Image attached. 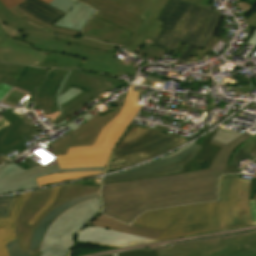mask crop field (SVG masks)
<instances>
[{"instance_id":"1","label":"crop field","mask_w":256,"mask_h":256,"mask_svg":"<svg viewBox=\"0 0 256 256\" xmlns=\"http://www.w3.org/2000/svg\"><path fill=\"white\" fill-rule=\"evenodd\" d=\"M248 137L243 134L227 145L211 141L223 148L207 170L102 185V213L130 224L150 209L217 200V178L235 149Z\"/></svg>"},{"instance_id":"2","label":"crop field","mask_w":256,"mask_h":256,"mask_svg":"<svg viewBox=\"0 0 256 256\" xmlns=\"http://www.w3.org/2000/svg\"><path fill=\"white\" fill-rule=\"evenodd\" d=\"M249 186L248 180H221L217 202L147 211L131 225L162 232L158 241L251 225Z\"/></svg>"},{"instance_id":"3","label":"crop field","mask_w":256,"mask_h":256,"mask_svg":"<svg viewBox=\"0 0 256 256\" xmlns=\"http://www.w3.org/2000/svg\"><path fill=\"white\" fill-rule=\"evenodd\" d=\"M0 19L8 26L21 31L14 38L31 43L34 49L49 52L40 67L82 68L113 77L120 71L136 75L135 68L131 67L135 62L129 60L123 64L113 59L116 46L84 37L57 36V33L34 24L25 17H14L1 1ZM55 35L57 37L53 39Z\"/></svg>"},{"instance_id":"4","label":"crop field","mask_w":256,"mask_h":256,"mask_svg":"<svg viewBox=\"0 0 256 256\" xmlns=\"http://www.w3.org/2000/svg\"><path fill=\"white\" fill-rule=\"evenodd\" d=\"M133 87L130 86L118 116L103 127L93 146L69 148L66 155L56 157L61 169L105 167L118 139L141 108L135 105L138 92L132 91Z\"/></svg>"},{"instance_id":"5","label":"crop field","mask_w":256,"mask_h":256,"mask_svg":"<svg viewBox=\"0 0 256 256\" xmlns=\"http://www.w3.org/2000/svg\"><path fill=\"white\" fill-rule=\"evenodd\" d=\"M186 141L188 140L174 134L168 136L158 131L132 126L115 149L107 172L156 157Z\"/></svg>"},{"instance_id":"6","label":"crop field","mask_w":256,"mask_h":256,"mask_svg":"<svg viewBox=\"0 0 256 256\" xmlns=\"http://www.w3.org/2000/svg\"><path fill=\"white\" fill-rule=\"evenodd\" d=\"M101 210L100 198L84 202L61 215L48 230L41 256H67L74 234Z\"/></svg>"},{"instance_id":"7","label":"crop field","mask_w":256,"mask_h":256,"mask_svg":"<svg viewBox=\"0 0 256 256\" xmlns=\"http://www.w3.org/2000/svg\"><path fill=\"white\" fill-rule=\"evenodd\" d=\"M70 71L27 67L15 86L30 91L29 99H34L35 109L42 108L46 116L62 113L58 95Z\"/></svg>"},{"instance_id":"8","label":"crop field","mask_w":256,"mask_h":256,"mask_svg":"<svg viewBox=\"0 0 256 256\" xmlns=\"http://www.w3.org/2000/svg\"><path fill=\"white\" fill-rule=\"evenodd\" d=\"M157 253L159 256H256V232L179 244Z\"/></svg>"},{"instance_id":"9","label":"crop field","mask_w":256,"mask_h":256,"mask_svg":"<svg viewBox=\"0 0 256 256\" xmlns=\"http://www.w3.org/2000/svg\"><path fill=\"white\" fill-rule=\"evenodd\" d=\"M221 16V14L193 5L184 16L168 49L174 50L178 41L190 44L180 58L186 61L194 46L205 49Z\"/></svg>"},{"instance_id":"10","label":"crop field","mask_w":256,"mask_h":256,"mask_svg":"<svg viewBox=\"0 0 256 256\" xmlns=\"http://www.w3.org/2000/svg\"><path fill=\"white\" fill-rule=\"evenodd\" d=\"M131 6L129 12L143 17V23L132 34L125 48L137 53L147 42L154 43L161 32L158 17L169 0H111ZM196 3L197 0H187Z\"/></svg>"},{"instance_id":"11","label":"crop field","mask_w":256,"mask_h":256,"mask_svg":"<svg viewBox=\"0 0 256 256\" xmlns=\"http://www.w3.org/2000/svg\"><path fill=\"white\" fill-rule=\"evenodd\" d=\"M109 81L112 83L107 84ZM124 83L95 74L86 73L80 70H72L60 95L67 91L72 86L84 90L72 100L68 101L62 107L63 113L59 115L53 122L58 126L65 118L75 109L85 104L91 98L102 94L103 92L123 86Z\"/></svg>"},{"instance_id":"12","label":"crop field","mask_w":256,"mask_h":256,"mask_svg":"<svg viewBox=\"0 0 256 256\" xmlns=\"http://www.w3.org/2000/svg\"><path fill=\"white\" fill-rule=\"evenodd\" d=\"M200 149L201 146L193 144L174 157L155 161L122 173L104 177L102 184L181 173L182 166L193 159Z\"/></svg>"},{"instance_id":"13","label":"crop field","mask_w":256,"mask_h":256,"mask_svg":"<svg viewBox=\"0 0 256 256\" xmlns=\"http://www.w3.org/2000/svg\"><path fill=\"white\" fill-rule=\"evenodd\" d=\"M104 169L105 168H75L60 170L58 164H56L45 168L37 165L31 169L25 170L15 163H7L0 168V195L38 187L35 178L42 175L69 171Z\"/></svg>"},{"instance_id":"14","label":"crop field","mask_w":256,"mask_h":256,"mask_svg":"<svg viewBox=\"0 0 256 256\" xmlns=\"http://www.w3.org/2000/svg\"><path fill=\"white\" fill-rule=\"evenodd\" d=\"M18 33L0 20V61L39 67L47 52L33 50L30 44L12 39Z\"/></svg>"},{"instance_id":"15","label":"crop field","mask_w":256,"mask_h":256,"mask_svg":"<svg viewBox=\"0 0 256 256\" xmlns=\"http://www.w3.org/2000/svg\"><path fill=\"white\" fill-rule=\"evenodd\" d=\"M120 109L121 107H117L114 111L104 116L99 114L95 115L84 125L72 132V136L67 135L52 144L55 155L65 154L68 147L92 145L101 128L116 117Z\"/></svg>"},{"instance_id":"16","label":"crop field","mask_w":256,"mask_h":256,"mask_svg":"<svg viewBox=\"0 0 256 256\" xmlns=\"http://www.w3.org/2000/svg\"><path fill=\"white\" fill-rule=\"evenodd\" d=\"M6 74H0V80ZM25 111L12 110L0 116V153L5 155L27 143L23 138L33 134L26 123L18 116ZM1 157V156H0Z\"/></svg>"},{"instance_id":"17","label":"crop field","mask_w":256,"mask_h":256,"mask_svg":"<svg viewBox=\"0 0 256 256\" xmlns=\"http://www.w3.org/2000/svg\"><path fill=\"white\" fill-rule=\"evenodd\" d=\"M95 197H100L99 191L95 192V193L85 195V196L80 197V198L76 197V198L62 204L61 206L57 207L52 212L48 213L42 219V221L40 222V224L38 225L37 229L35 230V232L32 236L29 252L30 251H40L42 240H43L49 226L62 213H64L66 210L76 206L79 203H82V202H84L88 199L95 198ZM14 231H15L16 241H9V243L6 244L9 256H29V252L20 253L19 245H18V241H17V236H16V230H14Z\"/></svg>"},{"instance_id":"18","label":"crop field","mask_w":256,"mask_h":256,"mask_svg":"<svg viewBox=\"0 0 256 256\" xmlns=\"http://www.w3.org/2000/svg\"><path fill=\"white\" fill-rule=\"evenodd\" d=\"M75 241L80 243L105 244L116 247L155 242L154 240L89 225L84 227L77 234Z\"/></svg>"},{"instance_id":"19","label":"crop field","mask_w":256,"mask_h":256,"mask_svg":"<svg viewBox=\"0 0 256 256\" xmlns=\"http://www.w3.org/2000/svg\"><path fill=\"white\" fill-rule=\"evenodd\" d=\"M97 9L95 16L118 25L130 32H134L142 23V18L131 14L129 6L114 3L108 0H79Z\"/></svg>"},{"instance_id":"20","label":"crop field","mask_w":256,"mask_h":256,"mask_svg":"<svg viewBox=\"0 0 256 256\" xmlns=\"http://www.w3.org/2000/svg\"><path fill=\"white\" fill-rule=\"evenodd\" d=\"M191 6L192 4L183 0L169 1L158 19L163 22L161 25L163 30L154 45L167 49L182 17Z\"/></svg>"},{"instance_id":"21","label":"crop field","mask_w":256,"mask_h":256,"mask_svg":"<svg viewBox=\"0 0 256 256\" xmlns=\"http://www.w3.org/2000/svg\"><path fill=\"white\" fill-rule=\"evenodd\" d=\"M51 6L67 13L54 25L81 31L86 22L95 12L87 5L75 0H54Z\"/></svg>"},{"instance_id":"22","label":"crop field","mask_w":256,"mask_h":256,"mask_svg":"<svg viewBox=\"0 0 256 256\" xmlns=\"http://www.w3.org/2000/svg\"><path fill=\"white\" fill-rule=\"evenodd\" d=\"M82 35L111 44L121 45L122 43L126 44L131 33L97 17H93L83 30Z\"/></svg>"},{"instance_id":"23","label":"crop field","mask_w":256,"mask_h":256,"mask_svg":"<svg viewBox=\"0 0 256 256\" xmlns=\"http://www.w3.org/2000/svg\"><path fill=\"white\" fill-rule=\"evenodd\" d=\"M82 185H64L60 187L58 196L52 206L43 213L33 225L23 223V232L17 233L21 252L28 251L31 236L41 219L60 204L76 197Z\"/></svg>"},{"instance_id":"24","label":"crop field","mask_w":256,"mask_h":256,"mask_svg":"<svg viewBox=\"0 0 256 256\" xmlns=\"http://www.w3.org/2000/svg\"><path fill=\"white\" fill-rule=\"evenodd\" d=\"M52 189L53 188L32 192L18 214L16 222L17 232L22 231V222L29 223V221L40 211L46 203Z\"/></svg>"},{"instance_id":"25","label":"crop field","mask_w":256,"mask_h":256,"mask_svg":"<svg viewBox=\"0 0 256 256\" xmlns=\"http://www.w3.org/2000/svg\"><path fill=\"white\" fill-rule=\"evenodd\" d=\"M30 194L31 192L21 194L12 208L9 219L0 220V256H8L5 244L8 243V240H15L13 229H16L17 214Z\"/></svg>"},{"instance_id":"26","label":"crop field","mask_w":256,"mask_h":256,"mask_svg":"<svg viewBox=\"0 0 256 256\" xmlns=\"http://www.w3.org/2000/svg\"><path fill=\"white\" fill-rule=\"evenodd\" d=\"M216 131L217 129L211 131L209 134H207L204 140L199 143V145L203 146L202 149L193 160L183 167V172L195 171L194 169L200 168L204 163L208 165L211 164L218 150L221 149L219 146L209 144Z\"/></svg>"},{"instance_id":"27","label":"crop field","mask_w":256,"mask_h":256,"mask_svg":"<svg viewBox=\"0 0 256 256\" xmlns=\"http://www.w3.org/2000/svg\"><path fill=\"white\" fill-rule=\"evenodd\" d=\"M109 218L103 215H100L94 221H92L90 225L109 228V229L126 232V233H130V234H134V235H138V236H142V237H146L154 240H157L160 235L159 232H155V231H151V230H147L139 227L124 225L118 221H115Z\"/></svg>"},{"instance_id":"28","label":"crop field","mask_w":256,"mask_h":256,"mask_svg":"<svg viewBox=\"0 0 256 256\" xmlns=\"http://www.w3.org/2000/svg\"><path fill=\"white\" fill-rule=\"evenodd\" d=\"M26 2L19 5L24 11L34 15L35 17L53 25L65 13L46 5L39 0H25ZM20 7V8H21Z\"/></svg>"},{"instance_id":"29","label":"crop field","mask_w":256,"mask_h":256,"mask_svg":"<svg viewBox=\"0 0 256 256\" xmlns=\"http://www.w3.org/2000/svg\"><path fill=\"white\" fill-rule=\"evenodd\" d=\"M249 161L256 158V133L246 140L244 144L237 148L231 157V160L224 172L225 173H239L243 167L236 168L240 161L244 159ZM248 162V161H247ZM246 163V162H244Z\"/></svg>"},{"instance_id":"30","label":"crop field","mask_w":256,"mask_h":256,"mask_svg":"<svg viewBox=\"0 0 256 256\" xmlns=\"http://www.w3.org/2000/svg\"><path fill=\"white\" fill-rule=\"evenodd\" d=\"M103 172L104 171H84V172L60 173V174L39 177L36 180H37L38 186L40 187L44 185L56 184V183H61L65 181L90 177L94 175H100V174H103Z\"/></svg>"},{"instance_id":"31","label":"crop field","mask_w":256,"mask_h":256,"mask_svg":"<svg viewBox=\"0 0 256 256\" xmlns=\"http://www.w3.org/2000/svg\"><path fill=\"white\" fill-rule=\"evenodd\" d=\"M9 11L15 15V16H19V17H26L28 20L34 22V23H37V24H40V25H43V26H46L50 29H52L53 31L57 32V33H61V34H66V35H71V36H79L80 35V32L78 31H74V30H69V29H63V28H59V27H55V26H51L27 13H25L23 11L22 8H20L18 5L9 9Z\"/></svg>"},{"instance_id":"32","label":"crop field","mask_w":256,"mask_h":256,"mask_svg":"<svg viewBox=\"0 0 256 256\" xmlns=\"http://www.w3.org/2000/svg\"><path fill=\"white\" fill-rule=\"evenodd\" d=\"M240 135L241 133H236V132L226 131V130H218L213 140L227 144Z\"/></svg>"},{"instance_id":"33","label":"crop field","mask_w":256,"mask_h":256,"mask_svg":"<svg viewBox=\"0 0 256 256\" xmlns=\"http://www.w3.org/2000/svg\"><path fill=\"white\" fill-rule=\"evenodd\" d=\"M16 199L17 197L0 199V219L8 218L10 209Z\"/></svg>"},{"instance_id":"34","label":"crop field","mask_w":256,"mask_h":256,"mask_svg":"<svg viewBox=\"0 0 256 256\" xmlns=\"http://www.w3.org/2000/svg\"><path fill=\"white\" fill-rule=\"evenodd\" d=\"M140 52L148 55V56H152V57H156L158 59L162 58V55L164 54L165 50L161 49L159 47H156L152 44L147 43L141 50Z\"/></svg>"},{"instance_id":"35","label":"crop field","mask_w":256,"mask_h":256,"mask_svg":"<svg viewBox=\"0 0 256 256\" xmlns=\"http://www.w3.org/2000/svg\"><path fill=\"white\" fill-rule=\"evenodd\" d=\"M25 66L13 65L0 62V73H13L22 75Z\"/></svg>"},{"instance_id":"36","label":"crop field","mask_w":256,"mask_h":256,"mask_svg":"<svg viewBox=\"0 0 256 256\" xmlns=\"http://www.w3.org/2000/svg\"><path fill=\"white\" fill-rule=\"evenodd\" d=\"M157 250L153 251H145V250H137V251H131V252H122L119 253V256H158L159 254H156Z\"/></svg>"},{"instance_id":"37","label":"crop field","mask_w":256,"mask_h":256,"mask_svg":"<svg viewBox=\"0 0 256 256\" xmlns=\"http://www.w3.org/2000/svg\"><path fill=\"white\" fill-rule=\"evenodd\" d=\"M82 90L76 89L72 87L70 90L65 92L63 95L59 97V103L60 106L63 105L65 102L70 100L71 98L75 97L77 94H79Z\"/></svg>"},{"instance_id":"38","label":"crop field","mask_w":256,"mask_h":256,"mask_svg":"<svg viewBox=\"0 0 256 256\" xmlns=\"http://www.w3.org/2000/svg\"><path fill=\"white\" fill-rule=\"evenodd\" d=\"M60 187V186H59ZM59 187H55L52 191V194L50 196V198L48 199L47 203L45 204V206L42 208V210L31 220V224L34 223V221L43 213L45 212V210L51 206V204L53 203V201L55 200Z\"/></svg>"},{"instance_id":"39","label":"crop field","mask_w":256,"mask_h":256,"mask_svg":"<svg viewBox=\"0 0 256 256\" xmlns=\"http://www.w3.org/2000/svg\"><path fill=\"white\" fill-rule=\"evenodd\" d=\"M99 189H100L99 186L83 185L78 197L83 196V195L88 194V193H91V192H94V191H98Z\"/></svg>"},{"instance_id":"40","label":"crop field","mask_w":256,"mask_h":256,"mask_svg":"<svg viewBox=\"0 0 256 256\" xmlns=\"http://www.w3.org/2000/svg\"><path fill=\"white\" fill-rule=\"evenodd\" d=\"M255 195H256V171L251 179L249 199H253Z\"/></svg>"},{"instance_id":"41","label":"crop field","mask_w":256,"mask_h":256,"mask_svg":"<svg viewBox=\"0 0 256 256\" xmlns=\"http://www.w3.org/2000/svg\"><path fill=\"white\" fill-rule=\"evenodd\" d=\"M3 2V4L5 5V7L8 9L16 4H20L22 2H24V0H1Z\"/></svg>"},{"instance_id":"42","label":"crop field","mask_w":256,"mask_h":256,"mask_svg":"<svg viewBox=\"0 0 256 256\" xmlns=\"http://www.w3.org/2000/svg\"><path fill=\"white\" fill-rule=\"evenodd\" d=\"M249 204H250V210H251L253 222L254 224H256V201L249 200Z\"/></svg>"},{"instance_id":"43","label":"crop field","mask_w":256,"mask_h":256,"mask_svg":"<svg viewBox=\"0 0 256 256\" xmlns=\"http://www.w3.org/2000/svg\"><path fill=\"white\" fill-rule=\"evenodd\" d=\"M243 24L256 27V11L246 21H244Z\"/></svg>"},{"instance_id":"44","label":"crop field","mask_w":256,"mask_h":256,"mask_svg":"<svg viewBox=\"0 0 256 256\" xmlns=\"http://www.w3.org/2000/svg\"><path fill=\"white\" fill-rule=\"evenodd\" d=\"M192 144H193V143H192ZM190 145H191V144H190ZM190 145H189V146H190ZM189 146H187V147H189ZM187 147H185V148H183V149H180V150H178V151H175V152H173V153H171V154H168V155L164 156L163 158H167V157L174 156V155L180 153L181 151H183L184 149H186ZM163 158H161V159H163ZM158 160H159V159H158Z\"/></svg>"},{"instance_id":"45","label":"crop field","mask_w":256,"mask_h":256,"mask_svg":"<svg viewBox=\"0 0 256 256\" xmlns=\"http://www.w3.org/2000/svg\"><path fill=\"white\" fill-rule=\"evenodd\" d=\"M248 44L256 47V32L255 35L249 40Z\"/></svg>"},{"instance_id":"46","label":"crop field","mask_w":256,"mask_h":256,"mask_svg":"<svg viewBox=\"0 0 256 256\" xmlns=\"http://www.w3.org/2000/svg\"><path fill=\"white\" fill-rule=\"evenodd\" d=\"M77 184L97 185V181L96 180H91V181H86V182L77 183Z\"/></svg>"},{"instance_id":"47","label":"crop field","mask_w":256,"mask_h":256,"mask_svg":"<svg viewBox=\"0 0 256 256\" xmlns=\"http://www.w3.org/2000/svg\"><path fill=\"white\" fill-rule=\"evenodd\" d=\"M241 175V174H240ZM240 175H224L222 176V179H227V178H239Z\"/></svg>"},{"instance_id":"48","label":"crop field","mask_w":256,"mask_h":256,"mask_svg":"<svg viewBox=\"0 0 256 256\" xmlns=\"http://www.w3.org/2000/svg\"><path fill=\"white\" fill-rule=\"evenodd\" d=\"M82 117L88 120L89 118L92 117V115H90L89 113H87V115H83Z\"/></svg>"},{"instance_id":"49","label":"crop field","mask_w":256,"mask_h":256,"mask_svg":"<svg viewBox=\"0 0 256 256\" xmlns=\"http://www.w3.org/2000/svg\"><path fill=\"white\" fill-rule=\"evenodd\" d=\"M30 256H40L39 252H31Z\"/></svg>"},{"instance_id":"50","label":"crop field","mask_w":256,"mask_h":256,"mask_svg":"<svg viewBox=\"0 0 256 256\" xmlns=\"http://www.w3.org/2000/svg\"><path fill=\"white\" fill-rule=\"evenodd\" d=\"M41 1H43V2H45V3H47V4H49V3L52 2L53 0H41Z\"/></svg>"},{"instance_id":"51","label":"crop field","mask_w":256,"mask_h":256,"mask_svg":"<svg viewBox=\"0 0 256 256\" xmlns=\"http://www.w3.org/2000/svg\"><path fill=\"white\" fill-rule=\"evenodd\" d=\"M5 160L3 158H0V164L4 162Z\"/></svg>"},{"instance_id":"52","label":"crop field","mask_w":256,"mask_h":256,"mask_svg":"<svg viewBox=\"0 0 256 256\" xmlns=\"http://www.w3.org/2000/svg\"><path fill=\"white\" fill-rule=\"evenodd\" d=\"M64 123H66V122H65V121H63L59 126L63 125ZM59 126H58V127H59Z\"/></svg>"},{"instance_id":"53","label":"crop field","mask_w":256,"mask_h":256,"mask_svg":"<svg viewBox=\"0 0 256 256\" xmlns=\"http://www.w3.org/2000/svg\"><path fill=\"white\" fill-rule=\"evenodd\" d=\"M113 256H118V254H113Z\"/></svg>"},{"instance_id":"54","label":"crop field","mask_w":256,"mask_h":256,"mask_svg":"<svg viewBox=\"0 0 256 256\" xmlns=\"http://www.w3.org/2000/svg\"><path fill=\"white\" fill-rule=\"evenodd\" d=\"M255 200H256V196H255V198H254Z\"/></svg>"},{"instance_id":"55","label":"crop field","mask_w":256,"mask_h":256,"mask_svg":"<svg viewBox=\"0 0 256 256\" xmlns=\"http://www.w3.org/2000/svg\"><path fill=\"white\" fill-rule=\"evenodd\" d=\"M108 256H112V254H111V255H108Z\"/></svg>"}]
</instances>
